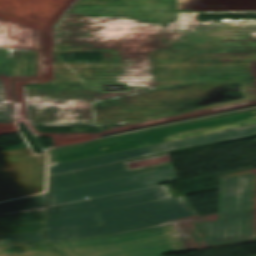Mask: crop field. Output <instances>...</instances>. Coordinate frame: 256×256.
Here are the masks:
<instances>
[{
  "label": "crop field",
  "mask_w": 256,
  "mask_h": 256,
  "mask_svg": "<svg viewBox=\"0 0 256 256\" xmlns=\"http://www.w3.org/2000/svg\"><path fill=\"white\" fill-rule=\"evenodd\" d=\"M246 207L247 171L219 177V215L50 244L65 256H163L178 252L168 235L175 232L188 250L242 244Z\"/></svg>",
  "instance_id": "crop-field-1"
},
{
  "label": "crop field",
  "mask_w": 256,
  "mask_h": 256,
  "mask_svg": "<svg viewBox=\"0 0 256 256\" xmlns=\"http://www.w3.org/2000/svg\"><path fill=\"white\" fill-rule=\"evenodd\" d=\"M251 124H256V110L55 150L52 152L51 165L109 153L121 152L147 145H155Z\"/></svg>",
  "instance_id": "crop-field-2"
},
{
  "label": "crop field",
  "mask_w": 256,
  "mask_h": 256,
  "mask_svg": "<svg viewBox=\"0 0 256 256\" xmlns=\"http://www.w3.org/2000/svg\"><path fill=\"white\" fill-rule=\"evenodd\" d=\"M103 226L46 232L49 242L107 235L148 228L161 222L195 215L170 198L97 213Z\"/></svg>",
  "instance_id": "crop-field-3"
},
{
  "label": "crop field",
  "mask_w": 256,
  "mask_h": 256,
  "mask_svg": "<svg viewBox=\"0 0 256 256\" xmlns=\"http://www.w3.org/2000/svg\"><path fill=\"white\" fill-rule=\"evenodd\" d=\"M170 197L165 185H161L93 200L52 206L46 231L102 225L96 212Z\"/></svg>",
  "instance_id": "crop-field-4"
},
{
  "label": "crop field",
  "mask_w": 256,
  "mask_h": 256,
  "mask_svg": "<svg viewBox=\"0 0 256 256\" xmlns=\"http://www.w3.org/2000/svg\"><path fill=\"white\" fill-rule=\"evenodd\" d=\"M44 167L31 147L0 152V200L42 191Z\"/></svg>",
  "instance_id": "crop-field-5"
},
{
  "label": "crop field",
  "mask_w": 256,
  "mask_h": 256,
  "mask_svg": "<svg viewBox=\"0 0 256 256\" xmlns=\"http://www.w3.org/2000/svg\"><path fill=\"white\" fill-rule=\"evenodd\" d=\"M254 133H256V125H251V126H246L242 128H237V129L217 132L213 134L188 138L184 140L164 143L160 145L147 146V147L125 151L121 153L109 154V155L99 156V157L90 158V159L57 164V165L51 166V175L112 164L116 162L140 158V157L154 155L158 153H163L170 150H176V149H181V148H186L191 146H197V145H202V144H207L212 142L228 140V139L250 135Z\"/></svg>",
  "instance_id": "crop-field-6"
},
{
  "label": "crop field",
  "mask_w": 256,
  "mask_h": 256,
  "mask_svg": "<svg viewBox=\"0 0 256 256\" xmlns=\"http://www.w3.org/2000/svg\"><path fill=\"white\" fill-rule=\"evenodd\" d=\"M172 167L51 193L50 206L154 186L176 179Z\"/></svg>",
  "instance_id": "crop-field-7"
},
{
  "label": "crop field",
  "mask_w": 256,
  "mask_h": 256,
  "mask_svg": "<svg viewBox=\"0 0 256 256\" xmlns=\"http://www.w3.org/2000/svg\"><path fill=\"white\" fill-rule=\"evenodd\" d=\"M172 166L171 163L127 172L125 163H118L51 177V192L101 182L119 177Z\"/></svg>",
  "instance_id": "crop-field-8"
},
{
  "label": "crop field",
  "mask_w": 256,
  "mask_h": 256,
  "mask_svg": "<svg viewBox=\"0 0 256 256\" xmlns=\"http://www.w3.org/2000/svg\"><path fill=\"white\" fill-rule=\"evenodd\" d=\"M46 209L0 216V235L43 231Z\"/></svg>",
  "instance_id": "crop-field-9"
},
{
  "label": "crop field",
  "mask_w": 256,
  "mask_h": 256,
  "mask_svg": "<svg viewBox=\"0 0 256 256\" xmlns=\"http://www.w3.org/2000/svg\"><path fill=\"white\" fill-rule=\"evenodd\" d=\"M0 256H61L46 243L0 248Z\"/></svg>",
  "instance_id": "crop-field-10"
},
{
  "label": "crop field",
  "mask_w": 256,
  "mask_h": 256,
  "mask_svg": "<svg viewBox=\"0 0 256 256\" xmlns=\"http://www.w3.org/2000/svg\"><path fill=\"white\" fill-rule=\"evenodd\" d=\"M47 194L0 203V213L46 207Z\"/></svg>",
  "instance_id": "crop-field-11"
},
{
  "label": "crop field",
  "mask_w": 256,
  "mask_h": 256,
  "mask_svg": "<svg viewBox=\"0 0 256 256\" xmlns=\"http://www.w3.org/2000/svg\"><path fill=\"white\" fill-rule=\"evenodd\" d=\"M44 242L43 232L0 236V247Z\"/></svg>",
  "instance_id": "crop-field-12"
},
{
  "label": "crop field",
  "mask_w": 256,
  "mask_h": 256,
  "mask_svg": "<svg viewBox=\"0 0 256 256\" xmlns=\"http://www.w3.org/2000/svg\"><path fill=\"white\" fill-rule=\"evenodd\" d=\"M0 123H18L15 104H0Z\"/></svg>",
  "instance_id": "crop-field-13"
},
{
  "label": "crop field",
  "mask_w": 256,
  "mask_h": 256,
  "mask_svg": "<svg viewBox=\"0 0 256 256\" xmlns=\"http://www.w3.org/2000/svg\"><path fill=\"white\" fill-rule=\"evenodd\" d=\"M252 170L248 171L247 243L251 242Z\"/></svg>",
  "instance_id": "crop-field-14"
},
{
  "label": "crop field",
  "mask_w": 256,
  "mask_h": 256,
  "mask_svg": "<svg viewBox=\"0 0 256 256\" xmlns=\"http://www.w3.org/2000/svg\"><path fill=\"white\" fill-rule=\"evenodd\" d=\"M170 237L173 240V242L175 243V245L178 248L179 252L187 250V248L185 247V245L183 244L182 240L180 239V237L178 236L177 233L171 234Z\"/></svg>",
  "instance_id": "crop-field-15"
},
{
  "label": "crop field",
  "mask_w": 256,
  "mask_h": 256,
  "mask_svg": "<svg viewBox=\"0 0 256 256\" xmlns=\"http://www.w3.org/2000/svg\"><path fill=\"white\" fill-rule=\"evenodd\" d=\"M0 103H5L2 80H0Z\"/></svg>",
  "instance_id": "crop-field-16"
},
{
  "label": "crop field",
  "mask_w": 256,
  "mask_h": 256,
  "mask_svg": "<svg viewBox=\"0 0 256 256\" xmlns=\"http://www.w3.org/2000/svg\"><path fill=\"white\" fill-rule=\"evenodd\" d=\"M41 209H43V208H41ZM7 214V213H6ZM1 215V214H0Z\"/></svg>",
  "instance_id": "crop-field-17"
}]
</instances>
